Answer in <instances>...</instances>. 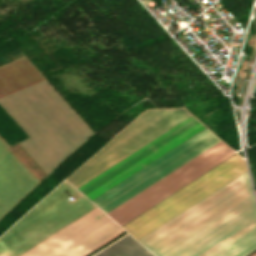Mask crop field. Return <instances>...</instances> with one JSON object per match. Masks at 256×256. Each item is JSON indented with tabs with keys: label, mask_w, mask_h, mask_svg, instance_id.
<instances>
[{
	"label": "crop field",
	"mask_w": 256,
	"mask_h": 256,
	"mask_svg": "<svg viewBox=\"0 0 256 256\" xmlns=\"http://www.w3.org/2000/svg\"><path fill=\"white\" fill-rule=\"evenodd\" d=\"M253 256H256V254H255V255H253Z\"/></svg>",
	"instance_id": "obj_12"
},
{
	"label": "crop field",
	"mask_w": 256,
	"mask_h": 256,
	"mask_svg": "<svg viewBox=\"0 0 256 256\" xmlns=\"http://www.w3.org/2000/svg\"><path fill=\"white\" fill-rule=\"evenodd\" d=\"M156 256H246L256 250L248 172L138 239Z\"/></svg>",
	"instance_id": "obj_1"
},
{
	"label": "crop field",
	"mask_w": 256,
	"mask_h": 256,
	"mask_svg": "<svg viewBox=\"0 0 256 256\" xmlns=\"http://www.w3.org/2000/svg\"><path fill=\"white\" fill-rule=\"evenodd\" d=\"M30 138L19 142L49 174L93 133L43 79L0 98Z\"/></svg>",
	"instance_id": "obj_3"
},
{
	"label": "crop field",
	"mask_w": 256,
	"mask_h": 256,
	"mask_svg": "<svg viewBox=\"0 0 256 256\" xmlns=\"http://www.w3.org/2000/svg\"><path fill=\"white\" fill-rule=\"evenodd\" d=\"M122 231L96 207L21 256H84Z\"/></svg>",
	"instance_id": "obj_6"
},
{
	"label": "crop field",
	"mask_w": 256,
	"mask_h": 256,
	"mask_svg": "<svg viewBox=\"0 0 256 256\" xmlns=\"http://www.w3.org/2000/svg\"><path fill=\"white\" fill-rule=\"evenodd\" d=\"M94 256H154L129 234Z\"/></svg>",
	"instance_id": "obj_11"
},
{
	"label": "crop field",
	"mask_w": 256,
	"mask_h": 256,
	"mask_svg": "<svg viewBox=\"0 0 256 256\" xmlns=\"http://www.w3.org/2000/svg\"><path fill=\"white\" fill-rule=\"evenodd\" d=\"M245 171L236 154L122 227L138 239Z\"/></svg>",
	"instance_id": "obj_5"
},
{
	"label": "crop field",
	"mask_w": 256,
	"mask_h": 256,
	"mask_svg": "<svg viewBox=\"0 0 256 256\" xmlns=\"http://www.w3.org/2000/svg\"><path fill=\"white\" fill-rule=\"evenodd\" d=\"M191 116L184 109L147 110L66 179L76 188Z\"/></svg>",
	"instance_id": "obj_4"
},
{
	"label": "crop field",
	"mask_w": 256,
	"mask_h": 256,
	"mask_svg": "<svg viewBox=\"0 0 256 256\" xmlns=\"http://www.w3.org/2000/svg\"><path fill=\"white\" fill-rule=\"evenodd\" d=\"M77 193L79 192L64 181L24 218L22 217L23 219H21L15 226L13 225L14 227H12L7 233L5 232L6 234L0 238V249L69 204L73 203L69 198Z\"/></svg>",
	"instance_id": "obj_10"
},
{
	"label": "crop field",
	"mask_w": 256,
	"mask_h": 256,
	"mask_svg": "<svg viewBox=\"0 0 256 256\" xmlns=\"http://www.w3.org/2000/svg\"><path fill=\"white\" fill-rule=\"evenodd\" d=\"M218 141L206 128L92 202L107 213ZM234 154L220 141L107 214L122 226Z\"/></svg>",
	"instance_id": "obj_2"
},
{
	"label": "crop field",
	"mask_w": 256,
	"mask_h": 256,
	"mask_svg": "<svg viewBox=\"0 0 256 256\" xmlns=\"http://www.w3.org/2000/svg\"><path fill=\"white\" fill-rule=\"evenodd\" d=\"M77 201L0 250V256H19L96 207L83 195Z\"/></svg>",
	"instance_id": "obj_9"
},
{
	"label": "crop field",
	"mask_w": 256,
	"mask_h": 256,
	"mask_svg": "<svg viewBox=\"0 0 256 256\" xmlns=\"http://www.w3.org/2000/svg\"><path fill=\"white\" fill-rule=\"evenodd\" d=\"M204 128L191 116L77 189L91 200Z\"/></svg>",
	"instance_id": "obj_7"
},
{
	"label": "crop field",
	"mask_w": 256,
	"mask_h": 256,
	"mask_svg": "<svg viewBox=\"0 0 256 256\" xmlns=\"http://www.w3.org/2000/svg\"><path fill=\"white\" fill-rule=\"evenodd\" d=\"M39 182L0 138V218Z\"/></svg>",
	"instance_id": "obj_8"
}]
</instances>
